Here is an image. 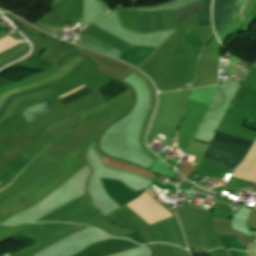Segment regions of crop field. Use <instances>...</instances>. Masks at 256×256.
<instances>
[{"instance_id": "obj_1", "label": "crop field", "mask_w": 256, "mask_h": 256, "mask_svg": "<svg viewBox=\"0 0 256 256\" xmlns=\"http://www.w3.org/2000/svg\"><path fill=\"white\" fill-rule=\"evenodd\" d=\"M215 137L231 140L234 142H238V143H242V144H246V145H250V146H252V144H253L252 141L235 138V137H231V136H227V135H223V134H219V133H216ZM215 137L212 140L211 146H213L217 149L232 153L234 155L240 156L242 158H244L246 156L247 152L250 149V146L234 143L231 141H227V140H223V139H219V138H215ZM211 146L204 154V157L211 159L217 163H220V164L227 166L234 170V168L237 165H239L243 160L242 158H239V157L231 155L229 153L217 150Z\"/></svg>"}, {"instance_id": "obj_2", "label": "crop field", "mask_w": 256, "mask_h": 256, "mask_svg": "<svg viewBox=\"0 0 256 256\" xmlns=\"http://www.w3.org/2000/svg\"><path fill=\"white\" fill-rule=\"evenodd\" d=\"M202 2L203 0H200L184 9L181 8L182 10L173 11L175 30L185 19L201 10ZM138 18L141 33L163 30L161 12L155 14L138 13Z\"/></svg>"}, {"instance_id": "obj_3", "label": "crop field", "mask_w": 256, "mask_h": 256, "mask_svg": "<svg viewBox=\"0 0 256 256\" xmlns=\"http://www.w3.org/2000/svg\"><path fill=\"white\" fill-rule=\"evenodd\" d=\"M155 50L147 47H131L119 58L137 67Z\"/></svg>"}, {"instance_id": "obj_4", "label": "crop field", "mask_w": 256, "mask_h": 256, "mask_svg": "<svg viewBox=\"0 0 256 256\" xmlns=\"http://www.w3.org/2000/svg\"><path fill=\"white\" fill-rule=\"evenodd\" d=\"M51 109H52V107H51L48 99H44L40 102H37L35 104L28 106L21 112L25 116V118L28 120V122L30 123L35 117H37L41 113L47 112Z\"/></svg>"}, {"instance_id": "obj_5", "label": "crop field", "mask_w": 256, "mask_h": 256, "mask_svg": "<svg viewBox=\"0 0 256 256\" xmlns=\"http://www.w3.org/2000/svg\"><path fill=\"white\" fill-rule=\"evenodd\" d=\"M181 38L198 60L205 44L192 30L185 32Z\"/></svg>"}, {"instance_id": "obj_6", "label": "crop field", "mask_w": 256, "mask_h": 256, "mask_svg": "<svg viewBox=\"0 0 256 256\" xmlns=\"http://www.w3.org/2000/svg\"><path fill=\"white\" fill-rule=\"evenodd\" d=\"M227 0H214L213 3V23L216 35L224 27V10Z\"/></svg>"}, {"instance_id": "obj_7", "label": "crop field", "mask_w": 256, "mask_h": 256, "mask_svg": "<svg viewBox=\"0 0 256 256\" xmlns=\"http://www.w3.org/2000/svg\"><path fill=\"white\" fill-rule=\"evenodd\" d=\"M98 90L106 101L115 95L127 90V87L119 82L110 80L104 87Z\"/></svg>"}, {"instance_id": "obj_8", "label": "crop field", "mask_w": 256, "mask_h": 256, "mask_svg": "<svg viewBox=\"0 0 256 256\" xmlns=\"http://www.w3.org/2000/svg\"><path fill=\"white\" fill-rule=\"evenodd\" d=\"M236 1L237 0H228V3H227V8H226V20H225V27L232 21V16H233V10H234V7H235V4H236ZM246 0H238L237 1V4H236V7H235V11H234V17L233 19L240 13L244 3H245ZM248 1V0H247ZM246 1V3H247ZM245 3V5H246ZM244 5V7H245ZM243 7V9H244ZM242 9V10H243ZM242 12V11H241ZM241 14V13H240Z\"/></svg>"}, {"instance_id": "obj_9", "label": "crop field", "mask_w": 256, "mask_h": 256, "mask_svg": "<svg viewBox=\"0 0 256 256\" xmlns=\"http://www.w3.org/2000/svg\"><path fill=\"white\" fill-rule=\"evenodd\" d=\"M210 3L211 0H204L202 11L198 13V26H212Z\"/></svg>"}, {"instance_id": "obj_10", "label": "crop field", "mask_w": 256, "mask_h": 256, "mask_svg": "<svg viewBox=\"0 0 256 256\" xmlns=\"http://www.w3.org/2000/svg\"><path fill=\"white\" fill-rule=\"evenodd\" d=\"M82 87H84V85L81 86V87H79V88H77V89H75V90H73V91H71V92L77 91L78 89H80V88H82ZM71 92H69V93H71ZM69 93H67V94H69ZM90 93H93V92H92L88 87H84V88L80 89L79 91H77V92H75V93H72V94H70V95H67V94H65V95H67V96L63 95V96H65V97L61 98V101H62L64 104H66V103H68V102H71V101H74V100H76V99L82 98V97H84V96H86V95H88V94H90ZM61 97H62V96H61ZM59 98H60V97H59Z\"/></svg>"}, {"instance_id": "obj_11", "label": "crop field", "mask_w": 256, "mask_h": 256, "mask_svg": "<svg viewBox=\"0 0 256 256\" xmlns=\"http://www.w3.org/2000/svg\"><path fill=\"white\" fill-rule=\"evenodd\" d=\"M48 85H45V86H42V87H39L37 89H33V90H29V91H25V92H21V93H17V94H14L12 96H10L5 104L3 105V107L1 108L0 110V118L1 116L5 113V111L7 110V108L9 107V105L11 104V102L15 99V98H18V97H21V96H24V95H27V94H30V93H34V92H39V91H43V90H46L48 89Z\"/></svg>"}, {"instance_id": "obj_12", "label": "crop field", "mask_w": 256, "mask_h": 256, "mask_svg": "<svg viewBox=\"0 0 256 256\" xmlns=\"http://www.w3.org/2000/svg\"><path fill=\"white\" fill-rule=\"evenodd\" d=\"M193 255H194V256H209L208 253H207V254H204V255H200V254H195V253H193Z\"/></svg>"}, {"instance_id": "obj_13", "label": "crop field", "mask_w": 256, "mask_h": 256, "mask_svg": "<svg viewBox=\"0 0 256 256\" xmlns=\"http://www.w3.org/2000/svg\"><path fill=\"white\" fill-rule=\"evenodd\" d=\"M149 192V191H148ZM150 193V192H149ZM151 195V194H150ZM152 196V195H151ZM153 197V196H152ZM154 198V197H153Z\"/></svg>"}, {"instance_id": "obj_14", "label": "crop field", "mask_w": 256, "mask_h": 256, "mask_svg": "<svg viewBox=\"0 0 256 256\" xmlns=\"http://www.w3.org/2000/svg\"><path fill=\"white\" fill-rule=\"evenodd\" d=\"M7 187H8V186H7ZM7 187H6V188H7ZM2 190H3V189H2Z\"/></svg>"}]
</instances>
